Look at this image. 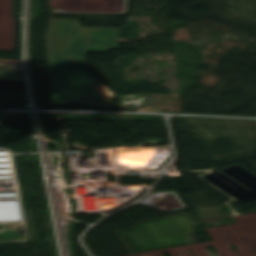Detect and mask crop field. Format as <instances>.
<instances>
[{
    "label": "crop field",
    "mask_w": 256,
    "mask_h": 256,
    "mask_svg": "<svg viewBox=\"0 0 256 256\" xmlns=\"http://www.w3.org/2000/svg\"><path fill=\"white\" fill-rule=\"evenodd\" d=\"M119 29L82 28L79 21L51 19L47 28L53 104L110 106L99 82L86 71V51L118 48Z\"/></svg>",
    "instance_id": "8a807250"
},
{
    "label": "crop field",
    "mask_w": 256,
    "mask_h": 256,
    "mask_svg": "<svg viewBox=\"0 0 256 256\" xmlns=\"http://www.w3.org/2000/svg\"><path fill=\"white\" fill-rule=\"evenodd\" d=\"M0 79L23 81L20 61L0 60Z\"/></svg>",
    "instance_id": "ac0d7876"
}]
</instances>
